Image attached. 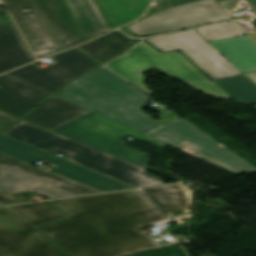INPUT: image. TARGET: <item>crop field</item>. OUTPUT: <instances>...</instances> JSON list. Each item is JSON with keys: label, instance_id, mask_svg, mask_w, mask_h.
Segmentation results:
<instances>
[{"label": "crop field", "instance_id": "obj_1", "mask_svg": "<svg viewBox=\"0 0 256 256\" xmlns=\"http://www.w3.org/2000/svg\"><path fill=\"white\" fill-rule=\"evenodd\" d=\"M52 202L70 219L38 229L69 256H122L161 246L151 236L135 231L168 219L140 191Z\"/></svg>", "mask_w": 256, "mask_h": 256}, {"label": "crop field", "instance_id": "obj_2", "mask_svg": "<svg viewBox=\"0 0 256 256\" xmlns=\"http://www.w3.org/2000/svg\"><path fill=\"white\" fill-rule=\"evenodd\" d=\"M56 96L144 134L159 128L140 110L148 96L103 66Z\"/></svg>", "mask_w": 256, "mask_h": 256}, {"label": "crop field", "instance_id": "obj_3", "mask_svg": "<svg viewBox=\"0 0 256 256\" xmlns=\"http://www.w3.org/2000/svg\"><path fill=\"white\" fill-rule=\"evenodd\" d=\"M0 134L53 155H57V151L63 152L69 155L66 157L68 160L135 187L163 184L158 176L152 175L139 167L37 128L22 120Z\"/></svg>", "mask_w": 256, "mask_h": 256}, {"label": "crop field", "instance_id": "obj_4", "mask_svg": "<svg viewBox=\"0 0 256 256\" xmlns=\"http://www.w3.org/2000/svg\"><path fill=\"white\" fill-rule=\"evenodd\" d=\"M105 66L149 95L152 92L143 84L144 76L142 73L155 67L210 96L230 98L180 52L161 54L145 41H141L123 57Z\"/></svg>", "mask_w": 256, "mask_h": 256}, {"label": "crop field", "instance_id": "obj_5", "mask_svg": "<svg viewBox=\"0 0 256 256\" xmlns=\"http://www.w3.org/2000/svg\"><path fill=\"white\" fill-rule=\"evenodd\" d=\"M27 190L49 198L97 192L0 153V206L27 202L17 197Z\"/></svg>", "mask_w": 256, "mask_h": 256}, {"label": "crop field", "instance_id": "obj_6", "mask_svg": "<svg viewBox=\"0 0 256 256\" xmlns=\"http://www.w3.org/2000/svg\"><path fill=\"white\" fill-rule=\"evenodd\" d=\"M51 131L88 144L143 168H145L148 155L123 145L121 138L135 136L162 148L165 147V144L149 136L93 112H89Z\"/></svg>", "mask_w": 256, "mask_h": 256}, {"label": "crop field", "instance_id": "obj_7", "mask_svg": "<svg viewBox=\"0 0 256 256\" xmlns=\"http://www.w3.org/2000/svg\"><path fill=\"white\" fill-rule=\"evenodd\" d=\"M147 135L177 149L184 146V140H186L200 150L194 154L205 160L213 161L235 174L256 171L255 166L228 148L220 147V143L180 117Z\"/></svg>", "mask_w": 256, "mask_h": 256}, {"label": "crop field", "instance_id": "obj_8", "mask_svg": "<svg viewBox=\"0 0 256 256\" xmlns=\"http://www.w3.org/2000/svg\"><path fill=\"white\" fill-rule=\"evenodd\" d=\"M0 256H67L10 206L0 208Z\"/></svg>", "mask_w": 256, "mask_h": 256}, {"label": "crop field", "instance_id": "obj_9", "mask_svg": "<svg viewBox=\"0 0 256 256\" xmlns=\"http://www.w3.org/2000/svg\"><path fill=\"white\" fill-rule=\"evenodd\" d=\"M231 18L214 0H201L155 13L127 28L143 35L184 29Z\"/></svg>", "mask_w": 256, "mask_h": 256}, {"label": "crop field", "instance_id": "obj_10", "mask_svg": "<svg viewBox=\"0 0 256 256\" xmlns=\"http://www.w3.org/2000/svg\"><path fill=\"white\" fill-rule=\"evenodd\" d=\"M161 52L180 50L210 79L229 77L242 72L209 45L194 30L146 39Z\"/></svg>", "mask_w": 256, "mask_h": 256}, {"label": "crop field", "instance_id": "obj_11", "mask_svg": "<svg viewBox=\"0 0 256 256\" xmlns=\"http://www.w3.org/2000/svg\"><path fill=\"white\" fill-rule=\"evenodd\" d=\"M51 58L57 63L42 69L31 64L6 75L52 94L66 82L99 64L75 48Z\"/></svg>", "mask_w": 256, "mask_h": 256}, {"label": "crop field", "instance_id": "obj_12", "mask_svg": "<svg viewBox=\"0 0 256 256\" xmlns=\"http://www.w3.org/2000/svg\"><path fill=\"white\" fill-rule=\"evenodd\" d=\"M0 152L30 164L40 159L55 164L59 167L53 170V173L103 192L131 188L113 179L89 171L2 135H0Z\"/></svg>", "mask_w": 256, "mask_h": 256}, {"label": "crop field", "instance_id": "obj_13", "mask_svg": "<svg viewBox=\"0 0 256 256\" xmlns=\"http://www.w3.org/2000/svg\"><path fill=\"white\" fill-rule=\"evenodd\" d=\"M30 44L37 59L61 51L32 0H3ZM31 12L24 13L23 10Z\"/></svg>", "mask_w": 256, "mask_h": 256}, {"label": "crop field", "instance_id": "obj_14", "mask_svg": "<svg viewBox=\"0 0 256 256\" xmlns=\"http://www.w3.org/2000/svg\"><path fill=\"white\" fill-rule=\"evenodd\" d=\"M33 1L50 27L62 50L86 40L63 0Z\"/></svg>", "mask_w": 256, "mask_h": 256}, {"label": "crop field", "instance_id": "obj_15", "mask_svg": "<svg viewBox=\"0 0 256 256\" xmlns=\"http://www.w3.org/2000/svg\"><path fill=\"white\" fill-rule=\"evenodd\" d=\"M49 96L42 90L6 75L0 76V110L3 112L20 118Z\"/></svg>", "mask_w": 256, "mask_h": 256}, {"label": "crop field", "instance_id": "obj_16", "mask_svg": "<svg viewBox=\"0 0 256 256\" xmlns=\"http://www.w3.org/2000/svg\"><path fill=\"white\" fill-rule=\"evenodd\" d=\"M34 61L12 21L0 24V73Z\"/></svg>", "mask_w": 256, "mask_h": 256}, {"label": "crop field", "instance_id": "obj_17", "mask_svg": "<svg viewBox=\"0 0 256 256\" xmlns=\"http://www.w3.org/2000/svg\"><path fill=\"white\" fill-rule=\"evenodd\" d=\"M87 112L89 111L54 96L39 105L36 110L23 120L51 130Z\"/></svg>", "mask_w": 256, "mask_h": 256}, {"label": "crop field", "instance_id": "obj_18", "mask_svg": "<svg viewBox=\"0 0 256 256\" xmlns=\"http://www.w3.org/2000/svg\"><path fill=\"white\" fill-rule=\"evenodd\" d=\"M208 43L242 72L256 70V44L246 35Z\"/></svg>", "mask_w": 256, "mask_h": 256}, {"label": "crop field", "instance_id": "obj_19", "mask_svg": "<svg viewBox=\"0 0 256 256\" xmlns=\"http://www.w3.org/2000/svg\"><path fill=\"white\" fill-rule=\"evenodd\" d=\"M87 40L110 30L94 0H64Z\"/></svg>", "mask_w": 256, "mask_h": 256}, {"label": "crop field", "instance_id": "obj_20", "mask_svg": "<svg viewBox=\"0 0 256 256\" xmlns=\"http://www.w3.org/2000/svg\"><path fill=\"white\" fill-rule=\"evenodd\" d=\"M113 28L128 23L143 13L151 0H96Z\"/></svg>", "mask_w": 256, "mask_h": 256}, {"label": "crop field", "instance_id": "obj_21", "mask_svg": "<svg viewBox=\"0 0 256 256\" xmlns=\"http://www.w3.org/2000/svg\"><path fill=\"white\" fill-rule=\"evenodd\" d=\"M160 207H162L173 219L184 215L189 204L186 191L180 184L143 189Z\"/></svg>", "mask_w": 256, "mask_h": 256}, {"label": "crop field", "instance_id": "obj_22", "mask_svg": "<svg viewBox=\"0 0 256 256\" xmlns=\"http://www.w3.org/2000/svg\"><path fill=\"white\" fill-rule=\"evenodd\" d=\"M134 40L127 38L119 31H113L90 43L78 46L80 49L104 63L112 57L123 53L134 44Z\"/></svg>", "mask_w": 256, "mask_h": 256}, {"label": "crop field", "instance_id": "obj_23", "mask_svg": "<svg viewBox=\"0 0 256 256\" xmlns=\"http://www.w3.org/2000/svg\"><path fill=\"white\" fill-rule=\"evenodd\" d=\"M34 226L58 221L67 216L53 206L50 201L11 206Z\"/></svg>", "mask_w": 256, "mask_h": 256}, {"label": "crop field", "instance_id": "obj_24", "mask_svg": "<svg viewBox=\"0 0 256 256\" xmlns=\"http://www.w3.org/2000/svg\"><path fill=\"white\" fill-rule=\"evenodd\" d=\"M213 82L236 102L256 103V85L245 75Z\"/></svg>", "mask_w": 256, "mask_h": 256}, {"label": "crop field", "instance_id": "obj_25", "mask_svg": "<svg viewBox=\"0 0 256 256\" xmlns=\"http://www.w3.org/2000/svg\"><path fill=\"white\" fill-rule=\"evenodd\" d=\"M197 30L207 41L245 34L234 22L210 25Z\"/></svg>", "mask_w": 256, "mask_h": 256}, {"label": "crop field", "instance_id": "obj_26", "mask_svg": "<svg viewBox=\"0 0 256 256\" xmlns=\"http://www.w3.org/2000/svg\"><path fill=\"white\" fill-rule=\"evenodd\" d=\"M17 119L12 118L8 115H5L3 113H0V130L8 127L12 123H14ZM18 121V120H17Z\"/></svg>", "mask_w": 256, "mask_h": 256}, {"label": "crop field", "instance_id": "obj_27", "mask_svg": "<svg viewBox=\"0 0 256 256\" xmlns=\"http://www.w3.org/2000/svg\"><path fill=\"white\" fill-rule=\"evenodd\" d=\"M157 111L160 113L161 117H163V118L166 119L165 121L159 123V125H161V126H163V125L166 124L167 122L171 121L172 119L178 117V115H176V114H175L174 112H172V111L167 112V113H163V112H161V111H159V110H157Z\"/></svg>", "mask_w": 256, "mask_h": 256}, {"label": "crop field", "instance_id": "obj_28", "mask_svg": "<svg viewBox=\"0 0 256 256\" xmlns=\"http://www.w3.org/2000/svg\"><path fill=\"white\" fill-rule=\"evenodd\" d=\"M193 1H197V0H166V3L168 7L171 8V7H175V6L186 4Z\"/></svg>", "mask_w": 256, "mask_h": 256}, {"label": "crop field", "instance_id": "obj_29", "mask_svg": "<svg viewBox=\"0 0 256 256\" xmlns=\"http://www.w3.org/2000/svg\"><path fill=\"white\" fill-rule=\"evenodd\" d=\"M245 75L256 84V71L245 73Z\"/></svg>", "mask_w": 256, "mask_h": 256}, {"label": "crop field", "instance_id": "obj_30", "mask_svg": "<svg viewBox=\"0 0 256 256\" xmlns=\"http://www.w3.org/2000/svg\"><path fill=\"white\" fill-rule=\"evenodd\" d=\"M10 20H11V18L9 17V15H3V16L0 17V23L7 22V21H10Z\"/></svg>", "mask_w": 256, "mask_h": 256}, {"label": "crop field", "instance_id": "obj_31", "mask_svg": "<svg viewBox=\"0 0 256 256\" xmlns=\"http://www.w3.org/2000/svg\"><path fill=\"white\" fill-rule=\"evenodd\" d=\"M256 12V0H246Z\"/></svg>", "mask_w": 256, "mask_h": 256}, {"label": "crop field", "instance_id": "obj_32", "mask_svg": "<svg viewBox=\"0 0 256 256\" xmlns=\"http://www.w3.org/2000/svg\"><path fill=\"white\" fill-rule=\"evenodd\" d=\"M119 30H121L122 32L126 33L129 36L132 37H136V35H134L133 33H131L130 31H128L127 29H125L124 27L120 28Z\"/></svg>", "mask_w": 256, "mask_h": 256}, {"label": "crop field", "instance_id": "obj_33", "mask_svg": "<svg viewBox=\"0 0 256 256\" xmlns=\"http://www.w3.org/2000/svg\"><path fill=\"white\" fill-rule=\"evenodd\" d=\"M248 34L256 41V32H249Z\"/></svg>", "mask_w": 256, "mask_h": 256}, {"label": "crop field", "instance_id": "obj_34", "mask_svg": "<svg viewBox=\"0 0 256 256\" xmlns=\"http://www.w3.org/2000/svg\"><path fill=\"white\" fill-rule=\"evenodd\" d=\"M218 1H222V0H216V2H218Z\"/></svg>", "mask_w": 256, "mask_h": 256}]
</instances>
